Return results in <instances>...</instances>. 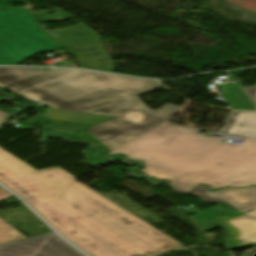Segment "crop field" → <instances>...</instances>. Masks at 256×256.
Here are the masks:
<instances>
[{
  "label": "crop field",
  "instance_id": "15",
  "mask_svg": "<svg viewBox=\"0 0 256 256\" xmlns=\"http://www.w3.org/2000/svg\"><path fill=\"white\" fill-rule=\"evenodd\" d=\"M48 12H53L55 15L51 16L48 14ZM33 16L35 17V19L37 20L38 23H41L43 21L56 22V21H60V20L74 18L71 15H69L68 13H66L58 8H54L51 11L36 12V13H33Z\"/></svg>",
  "mask_w": 256,
  "mask_h": 256
},
{
  "label": "crop field",
  "instance_id": "1",
  "mask_svg": "<svg viewBox=\"0 0 256 256\" xmlns=\"http://www.w3.org/2000/svg\"><path fill=\"white\" fill-rule=\"evenodd\" d=\"M0 182L92 256H151L183 247L62 169L37 171L1 148Z\"/></svg>",
  "mask_w": 256,
  "mask_h": 256
},
{
  "label": "crop field",
  "instance_id": "10",
  "mask_svg": "<svg viewBox=\"0 0 256 256\" xmlns=\"http://www.w3.org/2000/svg\"><path fill=\"white\" fill-rule=\"evenodd\" d=\"M40 120L50 121L52 123V125L49 128H47V130L61 133V134L71 135L70 138H72V139L83 140V141H87L90 143H92V142L97 143L96 146H98L101 149V151L96 154L91 155L90 156L91 159H96V158L110 152V150L107 147H105L88 130H86L87 128L91 127V125L46 120V119H42V118H40Z\"/></svg>",
  "mask_w": 256,
  "mask_h": 256
},
{
  "label": "crop field",
  "instance_id": "8",
  "mask_svg": "<svg viewBox=\"0 0 256 256\" xmlns=\"http://www.w3.org/2000/svg\"><path fill=\"white\" fill-rule=\"evenodd\" d=\"M193 193L201 196L203 201H224L243 213L256 208V187L244 189L225 188L219 192H210L207 188L199 187L194 189Z\"/></svg>",
  "mask_w": 256,
  "mask_h": 256
},
{
  "label": "crop field",
  "instance_id": "17",
  "mask_svg": "<svg viewBox=\"0 0 256 256\" xmlns=\"http://www.w3.org/2000/svg\"><path fill=\"white\" fill-rule=\"evenodd\" d=\"M11 1L19 2L21 4H26L25 0H0V10L9 8L10 7L9 2Z\"/></svg>",
  "mask_w": 256,
  "mask_h": 256
},
{
  "label": "crop field",
  "instance_id": "5",
  "mask_svg": "<svg viewBox=\"0 0 256 256\" xmlns=\"http://www.w3.org/2000/svg\"><path fill=\"white\" fill-rule=\"evenodd\" d=\"M48 30L76 56L80 67L113 72L111 57L102 48L98 33L83 24Z\"/></svg>",
  "mask_w": 256,
  "mask_h": 256
},
{
  "label": "crop field",
  "instance_id": "14",
  "mask_svg": "<svg viewBox=\"0 0 256 256\" xmlns=\"http://www.w3.org/2000/svg\"><path fill=\"white\" fill-rule=\"evenodd\" d=\"M9 197H13V195L0 187V200ZM22 239H26V237L0 218V245Z\"/></svg>",
  "mask_w": 256,
  "mask_h": 256
},
{
  "label": "crop field",
  "instance_id": "4",
  "mask_svg": "<svg viewBox=\"0 0 256 256\" xmlns=\"http://www.w3.org/2000/svg\"><path fill=\"white\" fill-rule=\"evenodd\" d=\"M63 48L23 9L0 11V65H18L41 53Z\"/></svg>",
  "mask_w": 256,
  "mask_h": 256
},
{
  "label": "crop field",
  "instance_id": "6",
  "mask_svg": "<svg viewBox=\"0 0 256 256\" xmlns=\"http://www.w3.org/2000/svg\"><path fill=\"white\" fill-rule=\"evenodd\" d=\"M0 256H86L54 232L0 246Z\"/></svg>",
  "mask_w": 256,
  "mask_h": 256
},
{
  "label": "crop field",
  "instance_id": "11",
  "mask_svg": "<svg viewBox=\"0 0 256 256\" xmlns=\"http://www.w3.org/2000/svg\"><path fill=\"white\" fill-rule=\"evenodd\" d=\"M45 110H46V114L42 118L78 122V123H85V124H91V125H95L97 123L108 121L110 119L115 118V117L101 116V115H94V114L60 111V110H54V109H48V108H45Z\"/></svg>",
  "mask_w": 256,
  "mask_h": 256
},
{
  "label": "crop field",
  "instance_id": "18",
  "mask_svg": "<svg viewBox=\"0 0 256 256\" xmlns=\"http://www.w3.org/2000/svg\"><path fill=\"white\" fill-rule=\"evenodd\" d=\"M9 119V114L0 111V125Z\"/></svg>",
  "mask_w": 256,
  "mask_h": 256
},
{
  "label": "crop field",
  "instance_id": "16",
  "mask_svg": "<svg viewBox=\"0 0 256 256\" xmlns=\"http://www.w3.org/2000/svg\"><path fill=\"white\" fill-rule=\"evenodd\" d=\"M248 96L249 98L256 104V85H253L251 87H248L244 89L242 86H240L238 83H236ZM256 110V108H255Z\"/></svg>",
  "mask_w": 256,
  "mask_h": 256
},
{
  "label": "crop field",
  "instance_id": "9",
  "mask_svg": "<svg viewBox=\"0 0 256 256\" xmlns=\"http://www.w3.org/2000/svg\"><path fill=\"white\" fill-rule=\"evenodd\" d=\"M224 121L220 133L256 139V112L231 111Z\"/></svg>",
  "mask_w": 256,
  "mask_h": 256
},
{
  "label": "crop field",
  "instance_id": "13",
  "mask_svg": "<svg viewBox=\"0 0 256 256\" xmlns=\"http://www.w3.org/2000/svg\"><path fill=\"white\" fill-rule=\"evenodd\" d=\"M232 209L233 208L223 203H220L210 209H207L203 212H200L198 214L191 216V218H193L197 222V224L203 229V231L206 233L217 226L213 221L210 220L211 216L217 215L219 213H225Z\"/></svg>",
  "mask_w": 256,
  "mask_h": 256
},
{
  "label": "crop field",
  "instance_id": "2",
  "mask_svg": "<svg viewBox=\"0 0 256 256\" xmlns=\"http://www.w3.org/2000/svg\"><path fill=\"white\" fill-rule=\"evenodd\" d=\"M0 84L48 106L117 116L88 129L111 151L179 109L167 104L152 112L139 101L136 95L159 88L156 81L103 73L0 67Z\"/></svg>",
  "mask_w": 256,
  "mask_h": 256
},
{
  "label": "crop field",
  "instance_id": "12",
  "mask_svg": "<svg viewBox=\"0 0 256 256\" xmlns=\"http://www.w3.org/2000/svg\"><path fill=\"white\" fill-rule=\"evenodd\" d=\"M223 96L232 109L254 110L255 104L247 95L237 86L220 85ZM223 98V99H224Z\"/></svg>",
  "mask_w": 256,
  "mask_h": 256
},
{
  "label": "crop field",
  "instance_id": "7",
  "mask_svg": "<svg viewBox=\"0 0 256 256\" xmlns=\"http://www.w3.org/2000/svg\"><path fill=\"white\" fill-rule=\"evenodd\" d=\"M214 220L230 233L228 248L256 243V209L247 214L235 210Z\"/></svg>",
  "mask_w": 256,
  "mask_h": 256
},
{
  "label": "crop field",
  "instance_id": "3",
  "mask_svg": "<svg viewBox=\"0 0 256 256\" xmlns=\"http://www.w3.org/2000/svg\"><path fill=\"white\" fill-rule=\"evenodd\" d=\"M196 132L163 123L111 153L145 162L140 172L168 179L171 189L182 193L199 184L214 189L256 184V140L237 145Z\"/></svg>",
  "mask_w": 256,
  "mask_h": 256
},
{
  "label": "crop field",
  "instance_id": "19",
  "mask_svg": "<svg viewBox=\"0 0 256 256\" xmlns=\"http://www.w3.org/2000/svg\"><path fill=\"white\" fill-rule=\"evenodd\" d=\"M250 256H256V252H255V253H253V254H251Z\"/></svg>",
  "mask_w": 256,
  "mask_h": 256
}]
</instances>
